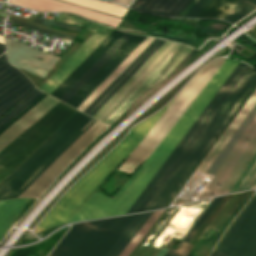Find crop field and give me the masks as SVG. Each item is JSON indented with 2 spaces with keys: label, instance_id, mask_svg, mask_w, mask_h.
Returning <instances> with one entry per match:
<instances>
[{
  "label": "crop field",
  "instance_id": "4177f3b9",
  "mask_svg": "<svg viewBox=\"0 0 256 256\" xmlns=\"http://www.w3.org/2000/svg\"><path fill=\"white\" fill-rule=\"evenodd\" d=\"M164 42L160 39L87 114L92 116Z\"/></svg>",
  "mask_w": 256,
  "mask_h": 256
},
{
  "label": "crop field",
  "instance_id": "28ad6ade",
  "mask_svg": "<svg viewBox=\"0 0 256 256\" xmlns=\"http://www.w3.org/2000/svg\"><path fill=\"white\" fill-rule=\"evenodd\" d=\"M33 88L30 80L8 64L5 54L0 56V117Z\"/></svg>",
  "mask_w": 256,
  "mask_h": 256
},
{
  "label": "crop field",
  "instance_id": "92a150f3",
  "mask_svg": "<svg viewBox=\"0 0 256 256\" xmlns=\"http://www.w3.org/2000/svg\"><path fill=\"white\" fill-rule=\"evenodd\" d=\"M131 36L124 33L93 65L92 67L60 98L66 102L97 70L98 68Z\"/></svg>",
  "mask_w": 256,
  "mask_h": 256
},
{
  "label": "crop field",
  "instance_id": "d1516ede",
  "mask_svg": "<svg viewBox=\"0 0 256 256\" xmlns=\"http://www.w3.org/2000/svg\"><path fill=\"white\" fill-rule=\"evenodd\" d=\"M173 42L166 41L131 77L130 79L93 115L101 119L118 100L156 63V61L173 45ZM175 43L157 63L119 100V102L100 120L104 121L121 102L178 46Z\"/></svg>",
  "mask_w": 256,
  "mask_h": 256
},
{
  "label": "crop field",
  "instance_id": "a9b5d70f",
  "mask_svg": "<svg viewBox=\"0 0 256 256\" xmlns=\"http://www.w3.org/2000/svg\"><path fill=\"white\" fill-rule=\"evenodd\" d=\"M152 212L138 214L137 217L133 220V222L129 225V227L125 230V232L121 235V237L117 240V242L113 245V247L108 251L105 256H118L123 248L127 245V243L131 240V238L135 235V233L152 214Z\"/></svg>",
  "mask_w": 256,
  "mask_h": 256
},
{
  "label": "crop field",
  "instance_id": "e1f06a70",
  "mask_svg": "<svg viewBox=\"0 0 256 256\" xmlns=\"http://www.w3.org/2000/svg\"><path fill=\"white\" fill-rule=\"evenodd\" d=\"M210 1L198 0L184 16L195 17Z\"/></svg>",
  "mask_w": 256,
  "mask_h": 256
},
{
  "label": "crop field",
  "instance_id": "5142ce71",
  "mask_svg": "<svg viewBox=\"0 0 256 256\" xmlns=\"http://www.w3.org/2000/svg\"><path fill=\"white\" fill-rule=\"evenodd\" d=\"M11 3L20 4L22 6L34 9L36 11H64L80 14L86 18L106 23L110 26L117 27L120 19L99 13L90 9L82 8L72 4L64 3L57 0H9Z\"/></svg>",
  "mask_w": 256,
  "mask_h": 256
},
{
  "label": "crop field",
  "instance_id": "dafd665d",
  "mask_svg": "<svg viewBox=\"0 0 256 256\" xmlns=\"http://www.w3.org/2000/svg\"><path fill=\"white\" fill-rule=\"evenodd\" d=\"M28 199H8L0 201V238L12 224Z\"/></svg>",
  "mask_w": 256,
  "mask_h": 256
},
{
  "label": "crop field",
  "instance_id": "b80d0937",
  "mask_svg": "<svg viewBox=\"0 0 256 256\" xmlns=\"http://www.w3.org/2000/svg\"><path fill=\"white\" fill-rule=\"evenodd\" d=\"M196 0H191L190 3L181 11L178 16H183L186 11L195 3Z\"/></svg>",
  "mask_w": 256,
  "mask_h": 256
},
{
  "label": "crop field",
  "instance_id": "bc2a9ffb",
  "mask_svg": "<svg viewBox=\"0 0 256 256\" xmlns=\"http://www.w3.org/2000/svg\"><path fill=\"white\" fill-rule=\"evenodd\" d=\"M189 1L190 0H137L131 8L144 13L177 16Z\"/></svg>",
  "mask_w": 256,
  "mask_h": 256
},
{
  "label": "crop field",
  "instance_id": "bd1437ed",
  "mask_svg": "<svg viewBox=\"0 0 256 256\" xmlns=\"http://www.w3.org/2000/svg\"><path fill=\"white\" fill-rule=\"evenodd\" d=\"M158 40L159 39L154 38L149 45L101 92L84 112L87 113Z\"/></svg>",
  "mask_w": 256,
  "mask_h": 256
},
{
  "label": "crop field",
  "instance_id": "ae1a2a85",
  "mask_svg": "<svg viewBox=\"0 0 256 256\" xmlns=\"http://www.w3.org/2000/svg\"><path fill=\"white\" fill-rule=\"evenodd\" d=\"M223 196L217 197L213 203L207 208V210L204 212V214L201 216V218L196 222V224L193 226V228L190 230L188 235L185 237L183 244L180 246V248L177 251L168 249L167 252L164 254V256H180L184 248L186 247L189 240L192 238V236L195 234V232L198 230V228L201 226L203 221L206 219V217L209 215V213L212 211V209L216 206V204L221 200Z\"/></svg>",
  "mask_w": 256,
  "mask_h": 256
},
{
  "label": "crop field",
  "instance_id": "d23c7cc5",
  "mask_svg": "<svg viewBox=\"0 0 256 256\" xmlns=\"http://www.w3.org/2000/svg\"><path fill=\"white\" fill-rule=\"evenodd\" d=\"M111 1H113V0H111Z\"/></svg>",
  "mask_w": 256,
  "mask_h": 256
},
{
  "label": "crop field",
  "instance_id": "214f88e0",
  "mask_svg": "<svg viewBox=\"0 0 256 256\" xmlns=\"http://www.w3.org/2000/svg\"><path fill=\"white\" fill-rule=\"evenodd\" d=\"M249 158V157H248ZM240 171V170H239ZM256 183V149L225 193L250 189Z\"/></svg>",
  "mask_w": 256,
  "mask_h": 256
},
{
  "label": "crop field",
  "instance_id": "34b2d1b8",
  "mask_svg": "<svg viewBox=\"0 0 256 256\" xmlns=\"http://www.w3.org/2000/svg\"><path fill=\"white\" fill-rule=\"evenodd\" d=\"M237 64L238 62L233 60H226L153 154L147 158L112 199L95 191L67 223L126 213Z\"/></svg>",
  "mask_w": 256,
  "mask_h": 256
},
{
  "label": "crop field",
  "instance_id": "dd49c442",
  "mask_svg": "<svg viewBox=\"0 0 256 256\" xmlns=\"http://www.w3.org/2000/svg\"><path fill=\"white\" fill-rule=\"evenodd\" d=\"M75 110L59 101L0 150V182Z\"/></svg>",
  "mask_w": 256,
  "mask_h": 256
},
{
  "label": "crop field",
  "instance_id": "cbeb9de0",
  "mask_svg": "<svg viewBox=\"0 0 256 256\" xmlns=\"http://www.w3.org/2000/svg\"><path fill=\"white\" fill-rule=\"evenodd\" d=\"M144 38L132 35L66 103L76 108Z\"/></svg>",
  "mask_w": 256,
  "mask_h": 256
},
{
  "label": "crop field",
  "instance_id": "03da06ac",
  "mask_svg": "<svg viewBox=\"0 0 256 256\" xmlns=\"http://www.w3.org/2000/svg\"><path fill=\"white\" fill-rule=\"evenodd\" d=\"M3 51H4V45L0 44V54L3 53Z\"/></svg>",
  "mask_w": 256,
  "mask_h": 256
},
{
  "label": "crop field",
  "instance_id": "b54c1fbb",
  "mask_svg": "<svg viewBox=\"0 0 256 256\" xmlns=\"http://www.w3.org/2000/svg\"><path fill=\"white\" fill-rule=\"evenodd\" d=\"M0 43L4 44V38L2 36H0Z\"/></svg>",
  "mask_w": 256,
  "mask_h": 256
},
{
  "label": "crop field",
  "instance_id": "5866460e",
  "mask_svg": "<svg viewBox=\"0 0 256 256\" xmlns=\"http://www.w3.org/2000/svg\"><path fill=\"white\" fill-rule=\"evenodd\" d=\"M34 22L46 25V26H54V27H60V28H66V29H71V30H77V31H81V27H77V26H73V25H69V24H65V23H61V22H57V21H52V20H48V19H43V18H39L36 17V19L34 20Z\"/></svg>",
  "mask_w": 256,
  "mask_h": 256
},
{
  "label": "crop field",
  "instance_id": "22f410ed",
  "mask_svg": "<svg viewBox=\"0 0 256 256\" xmlns=\"http://www.w3.org/2000/svg\"><path fill=\"white\" fill-rule=\"evenodd\" d=\"M191 50L192 48L180 44L103 123L110 126L138 97L159 83Z\"/></svg>",
  "mask_w": 256,
  "mask_h": 256
},
{
  "label": "crop field",
  "instance_id": "1d83c4d3",
  "mask_svg": "<svg viewBox=\"0 0 256 256\" xmlns=\"http://www.w3.org/2000/svg\"><path fill=\"white\" fill-rule=\"evenodd\" d=\"M36 89L32 93H30L24 100H22L16 107H14L8 114L0 119V128L10 119H12L16 114H18L22 109H24L28 104H30L34 99H36L40 94H42V92Z\"/></svg>",
  "mask_w": 256,
  "mask_h": 256
},
{
  "label": "crop field",
  "instance_id": "e52e79f7",
  "mask_svg": "<svg viewBox=\"0 0 256 256\" xmlns=\"http://www.w3.org/2000/svg\"><path fill=\"white\" fill-rule=\"evenodd\" d=\"M247 140L249 142H247ZM256 147V115L217 170L199 198L224 194L239 170ZM221 184L220 187L217 185Z\"/></svg>",
  "mask_w": 256,
  "mask_h": 256
},
{
  "label": "crop field",
  "instance_id": "d9b57169",
  "mask_svg": "<svg viewBox=\"0 0 256 256\" xmlns=\"http://www.w3.org/2000/svg\"><path fill=\"white\" fill-rule=\"evenodd\" d=\"M122 34L113 30L50 95L59 99Z\"/></svg>",
  "mask_w": 256,
  "mask_h": 256
},
{
  "label": "crop field",
  "instance_id": "c035e120",
  "mask_svg": "<svg viewBox=\"0 0 256 256\" xmlns=\"http://www.w3.org/2000/svg\"><path fill=\"white\" fill-rule=\"evenodd\" d=\"M114 2H118L121 4H129L131 2V0H114Z\"/></svg>",
  "mask_w": 256,
  "mask_h": 256
},
{
  "label": "crop field",
  "instance_id": "5d738f31",
  "mask_svg": "<svg viewBox=\"0 0 256 256\" xmlns=\"http://www.w3.org/2000/svg\"><path fill=\"white\" fill-rule=\"evenodd\" d=\"M254 188H256V185L254 186Z\"/></svg>",
  "mask_w": 256,
  "mask_h": 256
},
{
  "label": "crop field",
  "instance_id": "d32e631a",
  "mask_svg": "<svg viewBox=\"0 0 256 256\" xmlns=\"http://www.w3.org/2000/svg\"><path fill=\"white\" fill-rule=\"evenodd\" d=\"M47 94L43 93L36 100H34L30 105H28L24 110H22L18 115H16L12 120H10L6 125L0 129V134L4 132L8 127H10L14 122H16L20 117H22L26 112H28L32 107H34L38 102H40Z\"/></svg>",
  "mask_w": 256,
  "mask_h": 256
},
{
  "label": "crop field",
  "instance_id": "5a996713",
  "mask_svg": "<svg viewBox=\"0 0 256 256\" xmlns=\"http://www.w3.org/2000/svg\"><path fill=\"white\" fill-rule=\"evenodd\" d=\"M58 21L81 25L89 20L60 14ZM84 26V25H81ZM87 29L95 32L39 89L51 93L80 63L81 61L112 31L103 25L91 22Z\"/></svg>",
  "mask_w": 256,
  "mask_h": 256
},
{
  "label": "crop field",
  "instance_id": "3316defc",
  "mask_svg": "<svg viewBox=\"0 0 256 256\" xmlns=\"http://www.w3.org/2000/svg\"><path fill=\"white\" fill-rule=\"evenodd\" d=\"M105 127L95 122L78 140H76L38 179H36L19 197H37L68 165V163Z\"/></svg>",
  "mask_w": 256,
  "mask_h": 256
},
{
  "label": "crop field",
  "instance_id": "c21b1889",
  "mask_svg": "<svg viewBox=\"0 0 256 256\" xmlns=\"http://www.w3.org/2000/svg\"><path fill=\"white\" fill-rule=\"evenodd\" d=\"M167 248L162 249L157 256H162L166 252Z\"/></svg>",
  "mask_w": 256,
  "mask_h": 256
},
{
  "label": "crop field",
  "instance_id": "ac0d7876",
  "mask_svg": "<svg viewBox=\"0 0 256 256\" xmlns=\"http://www.w3.org/2000/svg\"><path fill=\"white\" fill-rule=\"evenodd\" d=\"M225 58L215 59L213 62L201 69L186 87L174 98V100L158 113L143 121L127 135V137L106 155L86 175L78 180L55 204L50 212L36 227L38 233L48 227L63 224L85 201L86 199L106 180V178L118 168L131 173L133 169L146 159L167 132L172 128L202 88L210 80L213 74L224 62Z\"/></svg>",
  "mask_w": 256,
  "mask_h": 256
},
{
  "label": "crop field",
  "instance_id": "00972430",
  "mask_svg": "<svg viewBox=\"0 0 256 256\" xmlns=\"http://www.w3.org/2000/svg\"><path fill=\"white\" fill-rule=\"evenodd\" d=\"M153 38L147 37L114 71L113 73L78 107L84 110L99 94L100 92L136 57V55L152 40ZM149 45V44H148ZM147 45V46H148ZM146 46V47H147ZM145 47V48H146ZM144 48V49H145ZM143 49V50H144ZM142 50V51H143ZM141 51V52H142ZM140 52V53H141ZM139 53V54H140ZM138 54V55H139ZM137 55V56H138Z\"/></svg>",
  "mask_w": 256,
  "mask_h": 256
},
{
  "label": "crop field",
  "instance_id": "120bbe31",
  "mask_svg": "<svg viewBox=\"0 0 256 256\" xmlns=\"http://www.w3.org/2000/svg\"><path fill=\"white\" fill-rule=\"evenodd\" d=\"M239 193L231 194V196L228 198V200L224 203V205L221 207V209L217 212V214L214 216V218L210 221L209 225L215 227V225L218 223V221L221 219V217L224 215V213L227 211V209L230 207V205L233 203V201L239 195Z\"/></svg>",
  "mask_w": 256,
  "mask_h": 256
},
{
  "label": "crop field",
  "instance_id": "028f5c9d",
  "mask_svg": "<svg viewBox=\"0 0 256 256\" xmlns=\"http://www.w3.org/2000/svg\"><path fill=\"white\" fill-rule=\"evenodd\" d=\"M8 21L17 23V24H19V25H21V26L29 27V28H31V29H33V30H38V31H40V32H42V33H46V34L53 35V36H58V35L52 34V33H56V32H53V31H50V30H46V29H42V28H38V27L29 25V24L24 23V22H21V21H17V20L10 19V18H8ZM56 34H59V33H56ZM61 35H63V34H61ZM58 37H62V38L70 39V40L73 39L72 36H68V35H63V36H58Z\"/></svg>",
  "mask_w": 256,
  "mask_h": 256
},
{
  "label": "crop field",
  "instance_id": "733c2abd",
  "mask_svg": "<svg viewBox=\"0 0 256 256\" xmlns=\"http://www.w3.org/2000/svg\"><path fill=\"white\" fill-rule=\"evenodd\" d=\"M58 101L59 100L49 95L44 98L40 103H38L34 108H32L28 113H26L22 118H20L16 123H14L10 128H8L4 133L0 135V149L3 148L7 143H9L13 138H15L19 133H21L25 128H27L31 123H33Z\"/></svg>",
  "mask_w": 256,
  "mask_h": 256
},
{
  "label": "crop field",
  "instance_id": "730fd06b",
  "mask_svg": "<svg viewBox=\"0 0 256 256\" xmlns=\"http://www.w3.org/2000/svg\"><path fill=\"white\" fill-rule=\"evenodd\" d=\"M239 0H212L197 17L222 19Z\"/></svg>",
  "mask_w": 256,
  "mask_h": 256
},
{
  "label": "crop field",
  "instance_id": "f4fd0767",
  "mask_svg": "<svg viewBox=\"0 0 256 256\" xmlns=\"http://www.w3.org/2000/svg\"><path fill=\"white\" fill-rule=\"evenodd\" d=\"M136 215L74 224L50 256H104Z\"/></svg>",
  "mask_w": 256,
  "mask_h": 256
},
{
  "label": "crop field",
  "instance_id": "d8731c3e",
  "mask_svg": "<svg viewBox=\"0 0 256 256\" xmlns=\"http://www.w3.org/2000/svg\"><path fill=\"white\" fill-rule=\"evenodd\" d=\"M256 196L231 226L213 256H255Z\"/></svg>",
  "mask_w": 256,
  "mask_h": 256
},
{
  "label": "crop field",
  "instance_id": "0bd39190",
  "mask_svg": "<svg viewBox=\"0 0 256 256\" xmlns=\"http://www.w3.org/2000/svg\"><path fill=\"white\" fill-rule=\"evenodd\" d=\"M196 52L197 50L193 49L165 78L179 71Z\"/></svg>",
  "mask_w": 256,
  "mask_h": 256
},
{
  "label": "crop field",
  "instance_id": "d3111659",
  "mask_svg": "<svg viewBox=\"0 0 256 256\" xmlns=\"http://www.w3.org/2000/svg\"><path fill=\"white\" fill-rule=\"evenodd\" d=\"M254 7H256V0H240L223 19L234 23Z\"/></svg>",
  "mask_w": 256,
  "mask_h": 256
},
{
  "label": "crop field",
  "instance_id": "412701ff",
  "mask_svg": "<svg viewBox=\"0 0 256 256\" xmlns=\"http://www.w3.org/2000/svg\"><path fill=\"white\" fill-rule=\"evenodd\" d=\"M91 119L77 111L0 185V199L18 197L95 122V120L93 121L94 118ZM86 123L91 124L87 126ZM81 128L82 130L85 129L81 131Z\"/></svg>",
  "mask_w": 256,
  "mask_h": 256
},
{
  "label": "crop field",
  "instance_id": "750c4746",
  "mask_svg": "<svg viewBox=\"0 0 256 256\" xmlns=\"http://www.w3.org/2000/svg\"><path fill=\"white\" fill-rule=\"evenodd\" d=\"M162 212L163 210L153 212V214L149 217V219L145 222L141 229L136 233V235L132 238V240L128 243V245L124 248V250L120 253L119 256H128V254L132 251V249L136 246V244L140 241V239L144 236V234L148 231V229L151 227V225L155 222V220L159 217V215Z\"/></svg>",
  "mask_w": 256,
  "mask_h": 256
},
{
  "label": "crop field",
  "instance_id": "eef30255",
  "mask_svg": "<svg viewBox=\"0 0 256 256\" xmlns=\"http://www.w3.org/2000/svg\"><path fill=\"white\" fill-rule=\"evenodd\" d=\"M71 3H75L84 7H88L94 10L102 11L105 13L117 15L123 18L127 9L113 3L101 1V0H65Z\"/></svg>",
  "mask_w": 256,
  "mask_h": 256
},
{
  "label": "crop field",
  "instance_id": "8a807250",
  "mask_svg": "<svg viewBox=\"0 0 256 256\" xmlns=\"http://www.w3.org/2000/svg\"><path fill=\"white\" fill-rule=\"evenodd\" d=\"M255 85L256 72L239 63L127 213L165 207Z\"/></svg>",
  "mask_w": 256,
  "mask_h": 256
},
{
  "label": "crop field",
  "instance_id": "4a817a6b",
  "mask_svg": "<svg viewBox=\"0 0 256 256\" xmlns=\"http://www.w3.org/2000/svg\"><path fill=\"white\" fill-rule=\"evenodd\" d=\"M255 103L256 90L246 102V104L243 106V108L236 115V117L233 119V121L230 123V125L227 127V129L224 131V133L221 135V137L218 139V141L215 143V145L212 147L207 156L204 158L200 166L197 168L198 171L205 172V170L208 168V166L226 144L228 139L231 137V135L234 133V131L237 129V127L240 125V123L243 121V119L246 117V115L249 113Z\"/></svg>",
  "mask_w": 256,
  "mask_h": 256
}]
</instances>
